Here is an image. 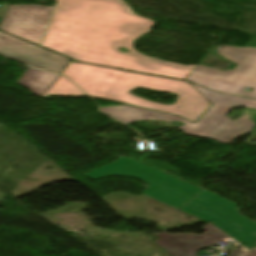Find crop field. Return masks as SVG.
Instances as JSON below:
<instances>
[{
  "instance_id": "8a807250",
  "label": "crop field",
  "mask_w": 256,
  "mask_h": 256,
  "mask_svg": "<svg viewBox=\"0 0 256 256\" xmlns=\"http://www.w3.org/2000/svg\"><path fill=\"white\" fill-rule=\"evenodd\" d=\"M153 25L124 0H57L42 45L78 62L185 80L196 66L149 58L133 49Z\"/></svg>"
},
{
  "instance_id": "ac0d7876",
  "label": "crop field",
  "mask_w": 256,
  "mask_h": 256,
  "mask_svg": "<svg viewBox=\"0 0 256 256\" xmlns=\"http://www.w3.org/2000/svg\"><path fill=\"white\" fill-rule=\"evenodd\" d=\"M61 75L69 78L89 96L178 115L193 123L211 106L186 81L72 62ZM137 87L179 95L185 102L181 109L148 103L128 93Z\"/></svg>"
},
{
  "instance_id": "34b2d1b8",
  "label": "crop field",
  "mask_w": 256,
  "mask_h": 256,
  "mask_svg": "<svg viewBox=\"0 0 256 256\" xmlns=\"http://www.w3.org/2000/svg\"><path fill=\"white\" fill-rule=\"evenodd\" d=\"M216 53L228 61L237 63L236 67L230 71H220L198 65L186 80L212 91L256 99V48L221 45ZM244 87L254 89L248 93L241 91Z\"/></svg>"
},
{
  "instance_id": "412701ff",
  "label": "crop field",
  "mask_w": 256,
  "mask_h": 256,
  "mask_svg": "<svg viewBox=\"0 0 256 256\" xmlns=\"http://www.w3.org/2000/svg\"><path fill=\"white\" fill-rule=\"evenodd\" d=\"M113 175L141 179L150 186L143 191V194L177 209L201 191L197 187L125 157H121L116 162L100 167L85 176L98 179Z\"/></svg>"
},
{
  "instance_id": "f4fd0767",
  "label": "crop field",
  "mask_w": 256,
  "mask_h": 256,
  "mask_svg": "<svg viewBox=\"0 0 256 256\" xmlns=\"http://www.w3.org/2000/svg\"><path fill=\"white\" fill-rule=\"evenodd\" d=\"M204 220L251 248L256 241V222L239 214L233 203L203 191L180 209Z\"/></svg>"
},
{
  "instance_id": "dd49c442",
  "label": "crop field",
  "mask_w": 256,
  "mask_h": 256,
  "mask_svg": "<svg viewBox=\"0 0 256 256\" xmlns=\"http://www.w3.org/2000/svg\"><path fill=\"white\" fill-rule=\"evenodd\" d=\"M191 85L195 87L212 104V106L196 122V124L213 129L224 130L235 137H239L247 132H250L252 128L256 125L245 116L240 117L236 121H232L225 116L232 109L231 106L256 109L255 100L223 95L212 91L204 90L193 84Z\"/></svg>"
},
{
  "instance_id": "e52e79f7",
  "label": "crop field",
  "mask_w": 256,
  "mask_h": 256,
  "mask_svg": "<svg viewBox=\"0 0 256 256\" xmlns=\"http://www.w3.org/2000/svg\"><path fill=\"white\" fill-rule=\"evenodd\" d=\"M53 7L9 5L0 30L40 45Z\"/></svg>"
},
{
  "instance_id": "d8731c3e",
  "label": "crop field",
  "mask_w": 256,
  "mask_h": 256,
  "mask_svg": "<svg viewBox=\"0 0 256 256\" xmlns=\"http://www.w3.org/2000/svg\"><path fill=\"white\" fill-rule=\"evenodd\" d=\"M101 111L125 124L137 120H165L167 122L181 121L184 123V126L179 127V129H181L183 133L190 136L207 137L223 144L230 143L235 139V137L227 132L202 127L178 116L145 110L128 105L104 107L101 108Z\"/></svg>"
},
{
  "instance_id": "5a996713",
  "label": "crop field",
  "mask_w": 256,
  "mask_h": 256,
  "mask_svg": "<svg viewBox=\"0 0 256 256\" xmlns=\"http://www.w3.org/2000/svg\"><path fill=\"white\" fill-rule=\"evenodd\" d=\"M0 54L14 58L30 66L59 73L64 70L69 59L43 50L37 46L26 43L0 32Z\"/></svg>"
},
{
  "instance_id": "3316defc",
  "label": "crop field",
  "mask_w": 256,
  "mask_h": 256,
  "mask_svg": "<svg viewBox=\"0 0 256 256\" xmlns=\"http://www.w3.org/2000/svg\"><path fill=\"white\" fill-rule=\"evenodd\" d=\"M202 229L207 233L197 236H194V234L169 235L166 232L157 233L156 235L160 239L155 243L166 249L172 256H196L198 249L211 246L228 237L209 223Z\"/></svg>"
},
{
  "instance_id": "28ad6ade",
  "label": "crop field",
  "mask_w": 256,
  "mask_h": 256,
  "mask_svg": "<svg viewBox=\"0 0 256 256\" xmlns=\"http://www.w3.org/2000/svg\"><path fill=\"white\" fill-rule=\"evenodd\" d=\"M58 75L29 68L17 82L37 96H43Z\"/></svg>"
},
{
  "instance_id": "d1516ede",
  "label": "crop field",
  "mask_w": 256,
  "mask_h": 256,
  "mask_svg": "<svg viewBox=\"0 0 256 256\" xmlns=\"http://www.w3.org/2000/svg\"><path fill=\"white\" fill-rule=\"evenodd\" d=\"M48 95L82 96L83 94L72 82L59 76L43 97L47 98Z\"/></svg>"
},
{
  "instance_id": "22f410ed",
  "label": "crop field",
  "mask_w": 256,
  "mask_h": 256,
  "mask_svg": "<svg viewBox=\"0 0 256 256\" xmlns=\"http://www.w3.org/2000/svg\"><path fill=\"white\" fill-rule=\"evenodd\" d=\"M248 251L243 247L230 251L226 256H244Z\"/></svg>"
},
{
  "instance_id": "cbeb9de0",
  "label": "crop field",
  "mask_w": 256,
  "mask_h": 256,
  "mask_svg": "<svg viewBox=\"0 0 256 256\" xmlns=\"http://www.w3.org/2000/svg\"><path fill=\"white\" fill-rule=\"evenodd\" d=\"M141 99H143V98H141ZM143 100H146V99H143ZM146 101L152 102V103H156V104H160V103L153 102V101H150V100H146ZM183 102H184V99H182L181 97H178L174 104L165 105V106H171V107H179V108H181ZM161 105H164V104H161Z\"/></svg>"
},
{
  "instance_id": "5142ce71",
  "label": "crop field",
  "mask_w": 256,
  "mask_h": 256,
  "mask_svg": "<svg viewBox=\"0 0 256 256\" xmlns=\"http://www.w3.org/2000/svg\"><path fill=\"white\" fill-rule=\"evenodd\" d=\"M247 256H256V250L251 251Z\"/></svg>"
},
{
  "instance_id": "d9b57169",
  "label": "crop field",
  "mask_w": 256,
  "mask_h": 256,
  "mask_svg": "<svg viewBox=\"0 0 256 256\" xmlns=\"http://www.w3.org/2000/svg\"><path fill=\"white\" fill-rule=\"evenodd\" d=\"M0 200H1V198H0Z\"/></svg>"
}]
</instances>
